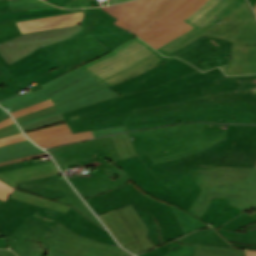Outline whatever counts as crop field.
<instances>
[{
    "instance_id": "35",
    "label": "crop field",
    "mask_w": 256,
    "mask_h": 256,
    "mask_svg": "<svg viewBox=\"0 0 256 256\" xmlns=\"http://www.w3.org/2000/svg\"><path fill=\"white\" fill-rule=\"evenodd\" d=\"M12 6V8H10ZM52 6L41 0H0V12Z\"/></svg>"
},
{
    "instance_id": "36",
    "label": "crop field",
    "mask_w": 256,
    "mask_h": 256,
    "mask_svg": "<svg viewBox=\"0 0 256 256\" xmlns=\"http://www.w3.org/2000/svg\"><path fill=\"white\" fill-rule=\"evenodd\" d=\"M194 256H244V251L197 244Z\"/></svg>"
},
{
    "instance_id": "43",
    "label": "crop field",
    "mask_w": 256,
    "mask_h": 256,
    "mask_svg": "<svg viewBox=\"0 0 256 256\" xmlns=\"http://www.w3.org/2000/svg\"><path fill=\"white\" fill-rule=\"evenodd\" d=\"M51 105H53V103L51 102L50 99H48V100H45L43 102L37 103L35 105H32V106L26 107L24 109L18 110L16 112L12 113V115L14 116V118H16V117L24 115L26 113L33 112V111H36V110H40V109L46 108V107L51 106Z\"/></svg>"
},
{
    "instance_id": "60",
    "label": "crop field",
    "mask_w": 256,
    "mask_h": 256,
    "mask_svg": "<svg viewBox=\"0 0 256 256\" xmlns=\"http://www.w3.org/2000/svg\"><path fill=\"white\" fill-rule=\"evenodd\" d=\"M6 77V75H4L1 71H0V79Z\"/></svg>"
},
{
    "instance_id": "9",
    "label": "crop field",
    "mask_w": 256,
    "mask_h": 256,
    "mask_svg": "<svg viewBox=\"0 0 256 256\" xmlns=\"http://www.w3.org/2000/svg\"><path fill=\"white\" fill-rule=\"evenodd\" d=\"M85 200L97 215L131 204L147 226V238L155 246L185 235L170 205L142 193L130 182Z\"/></svg>"
},
{
    "instance_id": "6",
    "label": "crop field",
    "mask_w": 256,
    "mask_h": 256,
    "mask_svg": "<svg viewBox=\"0 0 256 256\" xmlns=\"http://www.w3.org/2000/svg\"><path fill=\"white\" fill-rule=\"evenodd\" d=\"M62 169L95 165L98 169L70 177L83 198L98 195L132 179L113 161L121 159L111 136L47 149ZM65 150V151H63ZM100 157L102 159H100ZM117 174L112 180L109 176Z\"/></svg>"
},
{
    "instance_id": "47",
    "label": "crop field",
    "mask_w": 256,
    "mask_h": 256,
    "mask_svg": "<svg viewBox=\"0 0 256 256\" xmlns=\"http://www.w3.org/2000/svg\"><path fill=\"white\" fill-rule=\"evenodd\" d=\"M125 127L121 126V127H115V128H108V129H101V130H95L92 131L94 136H103V135H108V134H113V133H119V132H124Z\"/></svg>"
},
{
    "instance_id": "51",
    "label": "crop field",
    "mask_w": 256,
    "mask_h": 256,
    "mask_svg": "<svg viewBox=\"0 0 256 256\" xmlns=\"http://www.w3.org/2000/svg\"><path fill=\"white\" fill-rule=\"evenodd\" d=\"M42 155H46V153L39 154V155H34V156L26 157V158H21V159H17V160H12V161H8V162H4V163H0V165L19 162V161H24V160H28L30 158H35V157L42 156Z\"/></svg>"
},
{
    "instance_id": "17",
    "label": "crop field",
    "mask_w": 256,
    "mask_h": 256,
    "mask_svg": "<svg viewBox=\"0 0 256 256\" xmlns=\"http://www.w3.org/2000/svg\"><path fill=\"white\" fill-rule=\"evenodd\" d=\"M195 71H198L195 67L174 58L110 88L123 95L151 88Z\"/></svg>"
},
{
    "instance_id": "20",
    "label": "crop field",
    "mask_w": 256,
    "mask_h": 256,
    "mask_svg": "<svg viewBox=\"0 0 256 256\" xmlns=\"http://www.w3.org/2000/svg\"><path fill=\"white\" fill-rule=\"evenodd\" d=\"M84 10L85 18L80 25L111 51L135 36L114 25L113 23L117 19L100 8H86Z\"/></svg>"
},
{
    "instance_id": "61",
    "label": "crop field",
    "mask_w": 256,
    "mask_h": 256,
    "mask_svg": "<svg viewBox=\"0 0 256 256\" xmlns=\"http://www.w3.org/2000/svg\"><path fill=\"white\" fill-rule=\"evenodd\" d=\"M34 161V159H32ZM36 161L39 162L40 161V157L36 158Z\"/></svg>"
},
{
    "instance_id": "14",
    "label": "crop field",
    "mask_w": 256,
    "mask_h": 256,
    "mask_svg": "<svg viewBox=\"0 0 256 256\" xmlns=\"http://www.w3.org/2000/svg\"><path fill=\"white\" fill-rule=\"evenodd\" d=\"M45 48L67 72L110 52L84 28L76 35Z\"/></svg>"
},
{
    "instance_id": "65",
    "label": "crop field",
    "mask_w": 256,
    "mask_h": 256,
    "mask_svg": "<svg viewBox=\"0 0 256 256\" xmlns=\"http://www.w3.org/2000/svg\"><path fill=\"white\" fill-rule=\"evenodd\" d=\"M0 237H3V236L0 234Z\"/></svg>"
},
{
    "instance_id": "26",
    "label": "crop field",
    "mask_w": 256,
    "mask_h": 256,
    "mask_svg": "<svg viewBox=\"0 0 256 256\" xmlns=\"http://www.w3.org/2000/svg\"><path fill=\"white\" fill-rule=\"evenodd\" d=\"M58 173L59 171L57 167L55 166L53 161H50L34 166L0 173V179L16 187L17 185L14 182L42 178Z\"/></svg>"
},
{
    "instance_id": "52",
    "label": "crop field",
    "mask_w": 256,
    "mask_h": 256,
    "mask_svg": "<svg viewBox=\"0 0 256 256\" xmlns=\"http://www.w3.org/2000/svg\"><path fill=\"white\" fill-rule=\"evenodd\" d=\"M0 256H16V255L10 250H0Z\"/></svg>"
},
{
    "instance_id": "48",
    "label": "crop field",
    "mask_w": 256,
    "mask_h": 256,
    "mask_svg": "<svg viewBox=\"0 0 256 256\" xmlns=\"http://www.w3.org/2000/svg\"><path fill=\"white\" fill-rule=\"evenodd\" d=\"M16 133H20V130L15 125V123H13L11 125H8L0 129V138L8 135L16 134Z\"/></svg>"
},
{
    "instance_id": "28",
    "label": "crop field",
    "mask_w": 256,
    "mask_h": 256,
    "mask_svg": "<svg viewBox=\"0 0 256 256\" xmlns=\"http://www.w3.org/2000/svg\"><path fill=\"white\" fill-rule=\"evenodd\" d=\"M83 17V13H73L49 18L34 19L17 22L22 33L50 29L55 27L78 24Z\"/></svg>"
},
{
    "instance_id": "13",
    "label": "crop field",
    "mask_w": 256,
    "mask_h": 256,
    "mask_svg": "<svg viewBox=\"0 0 256 256\" xmlns=\"http://www.w3.org/2000/svg\"><path fill=\"white\" fill-rule=\"evenodd\" d=\"M0 70L16 85L20 84L22 87L34 81L41 85L66 73L44 47L10 65L0 55Z\"/></svg>"
},
{
    "instance_id": "63",
    "label": "crop field",
    "mask_w": 256,
    "mask_h": 256,
    "mask_svg": "<svg viewBox=\"0 0 256 256\" xmlns=\"http://www.w3.org/2000/svg\"><path fill=\"white\" fill-rule=\"evenodd\" d=\"M254 11H255V13H256V7H255Z\"/></svg>"
},
{
    "instance_id": "32",
    "label": "crop field",
    "mask_w": 256,
    "mask_h": 256,
    "mask_svg": "<svg viewBox=\"0 0 256 256\" xmlns=\"http://www.w3.org/2000/svg\"><path fill=\"white\" fill-rule=\"evenodd\" d=\"M184 242L189 243H199L205 245H212V246H221V247H229L233 248L230 244H228L223 238H221L214 229H203L191 233L187 236L180 238Z\"/></svg>"
},
{
    "instance_id": "15",
    "label": "crop field",
    "mask_w": 256,
    "mask_h": 256,
    "mask_svg": "<svg viewBox=\"0 0 256 256\" xmlns=\"http://www.w3.org/2000/svg\"><path fill=\"white\" fill-rule=\"evenodd\" d=\"M55 232L46 241L52 247L47 249V256H131L120 247L110 246L81 237L69 231L59 222L52 229Z\"/></svg>"
},
{
    "instance_id": "21",
    "label": "crop field",
    "mask_w": 256,
    "mask_h": 256,
    "mask_svg": "<svg viewBox=\"0 0 256 256\" xmlns=\"http://www.w3.org/2000/svg\"><path fill=\"white\" fill-rule=\"evenodd\" d=\"M41 206L8 197L0 205V233L8 240L30 218L53 228L57 221L34 215Z\"/></svg>"
},
{
    "instance_id": "30",
    "label": "crop field",
    "mask_w": 256,
    "mask_h": 256,
    "mask_svg": "<svg viewBox=\"0 0 256 256\" xmlns=\"http://www.w3.org/2000/svg\"><path fill=\"white\" fill-rule=\"evenodd\" d=\"M82 9H74V10H67L57 7H48V8H37V9H29L17 12H9V13H0V21L15 18L16 21L19 20H27V19H34V18H42L60 14H67L73 12H79Z\"/></svg>"
},
{
    "instance_id": "1",
    "label": "crop field",
    "mask_w": 256,
    "mask_h": 256,
    "mask_svg": "<svg viewBox=\"0 0 256 256\" xmlns=\"http://www.w3.org/2000/svg\"><path fill=\"white\" fill-rule=\"evenodd\" d=\"M256 87V74L228 77L219 69L195 72L151 89L63 113L72 133L125 125L134 110Z\"/></svg>"
},
{
    "instance_id": "38",
    "label": "crop field",
    "mask_w": 256,
    "mask_h": 256,
    "mask_svg": "<svg viewBox=\"0 0 256 256\" xmlns=\"http://www.w3.org/2000/svg\"><path fill=\"white\" fill-rule=\"evenodd\" d=\"M112 137L122 159L136 155L126 132Z\"/></svg>"
},
{
    "instance_id": "23",
    "label": "crop field",
    "mask_w": 256,
    "mask_h": 256,
    "mask_svg": "<svg viewBox=\"0 0 256 256\" xmlns=\"http://www.w3.org/2000/svg\"><path fill=\"white\" fill-rule=\"evenodd\" d=\"M36 215L57 220L68 229L84 237L118 246L106 230L94 224L73 207H71L66 214L42 207Z\"/></svg>"
},
{
    "instance_id": "4",
    "label": "crop field",
    "mask_w": 256,
    "mask_h": 256,
    "mask_svg": "<svg viewBox=\"0 0 256 256\" xmlns=\"http://www.w3.org/2000/svg\"><path fill=\"white\" fill-rule=\"evenodd\" d=\"M207 0H135L101 8L155 49L194 28L183 20Z\"/></svg>"
},
{
    "instance_id": "5",
    "label": "crop field",
    "mask_w": 256,
    "mask_h": 256,
    "mask_svg": "<svg viewBox=\"0 0 256 256\" xmlns=\"http://www.w3.org/2000/svg\"><path fill=\"white\" fill-rule=\"evenodd\" d=\"M221 141L176 162L154 164L146 153L139 157L168 188L196 165L255 167L256 126L227 125V140Z\"/></svg>"
},
{
    "instance_id": "11",
    "label": "crop field",
    "mask_w": 256,
    "mask_h": 256,
    "mask_svg": "<svg viewBox=\"0 0 256 256\" xmlns=\"http://www.w3.org/2000/svg\"><path fill=\"white\" fill-rule=\"evenodd\" d=\"M142 41L135 36L112 52L81 67L110 87L172 59L163 57Z\"/></svg>"
},
{
    "instance_id": "18",
    "label": "crop field",
    "mask_w": 256,
    "mask_h": 256,
    "mask_svg": "<svg viewBox=\"0 0 256 256\" xmlns=\"http://www.w3.org/2000/svg\"><path fill=\"white\" fill-rule=\"evenodd\" d=\"M83 27L80 25L62 28L52 29L48 31H41L30 34H23L17 38H14L6 43L0 44V54L8 61L12 63L30 53L38 47L52 44L58 40L67 38ZM12 42V45H9Z\"/></svg>"
},
{
    "instance_id": "39",
    "label": "crop field",
    "mask_w": 256,
    "mask_h": 256,
    "mask_svg": "<svg viewBox=\"0 0 256 256\" xmlns=\"http://www.w3.org/2000/svg\"><path fill=\"white\" fill-rule=\"evenodd\" d=\"M21 35L15 20L0 22V43Z\"/></svg>"
},
{
    "instance_id": "42",
    "label": "crop field",
    "mask_w": 256,
    "mask_h": 256,
    "mask_svg": "<svg viewBox=\"0 0 256 256\" xmlns=\"http://www.w3.org/2000/svg\"><path fill=\"white\" fill-rule=\"evenodd\" d=\"M181 245H183V244H181L179 242H176V241H172V242H170V243H168L166 245H163V246H161L159 248H156V249H153L151 251H148V252H146L144 254H140L138 256H155V255L156 256H166L165 253H167V252H169V251H171V250H173V249H175V248H177V247H179Z\"/></svg>"
},
{
    "instance_id": "62",
    "label": "crop field",
    "mask_w": 256,
    "mask_h": 256,
    "mask_svg": "<svg viewBox=\"0 0 256 256\" xmlns=\"http://www.w3.org/2000/svg\"><path fill=\"white\" fill-rule=\"evenodd\" d=\"M93 256H99V255H97V254H94Z\"/></svg>"
},
{
    "instance_id": "40",
    "label": "crop field",
    "mask_w": 256,
    "mask_h": 256,
    "mask_svg": "<svg viewBox=\"0 0 256 256\" xmlns=\"http://www.w3.org/2000/svg\"><path fill=\"white\" fill-rule=\"evenodd\" d=\"M26 138L24 137V135L22 133L20 134H16V135H12V136H8L5 138L0 139V145H4V144H8V143H13V142H17V141H21V140H25ZM14 191V188L6 185L5 183H3L2 181H0V199L4 200L12 194V192Z\"/></svg>"
},
{
    "instance_id": "56",
    "label": "crop field",
    "mask_w": 256,
    "mask_h": 256,
    "mask_svg": "<svg viewBox=\"0 0 256 256\" xmlns=\"http://www.w3.org/2000/svg\"><path fill=\"white\" fill-rule=\"evenodd\" d=\"M125 1H129V0H109L108 5L121 3V2H125Z\"/></svg>"
},
{
    "instance_id": "25",
    "label": "crop field",
    "mask_w": 256,
    "mask_h": 256,
    "mask_svg": "<svg viewBox=\"0 0 256 256\" xmlns=\"http://www.w3.org/2000/svg\"><path fill=\"white\" fill-rule=\"evenodd\" d=\"M133 207V206H132ZM131 205L117 209L118 213L127 222V226L133 232L139 242L133 243L132 245H126L127 249L137 254L141 251L151 249L155 247L147 238V228L138 217Z\"/></svg>"
},
{
    "instance_id": "46",
    "label": "crop field",
    "mask_w": 256,
    "mask_h": 256,
    "mask_svg": "<svg viewBox=\"0 0 256 256\" xmlns=\"http://www.w3.org/2000/svg\"><path fill=\"white\" fill-rule=\"evenodd\" d=\"M50 160H52V159H49V161ZM40 163H42V162H40ZM34 164H38V163H36V161L32 162V160L30 159V160L24 161V162L3 165V166H0V172L17 169V168H21V167H25V166H29V165H34Z\"/></svg>"
},
{
    "instance_id": "3",
    "label": "crop field",
    "mask_w": 256,
    "mask_h": 256,
    "mask_svg": "<svg viewBox=\"0 0 256 256\" xmlns=\"http://www.w3.org/2000/svg\"><path fill=\"white\" fill-rule=\"evenodd\" d=\"M191 121L256 124V88L137 110L125 127L129 131Z\"/></svg>"
},
{
    "instance_id": "37",
    "label": "crop field",
    "mask_w": 256,
    "mask_h": 256,
    "mask_svg": "<svg viewBox=\"0 0 256 256\" xmlns=\"http://www.w3.org/2000/svg\"><path fill=\"white\" fill-rule=\"evenodd\" d=\"M181 225L183 226V229L185 231V233H189L193 230H197V229H200V228H204V227H207V225L205 223H203L201 220L183 212V211H180L178 209H176L174 206H172Z\"/></svg>"
},
{
    "instance_id": "31",
    "label": "crop field",
    "mask_w": 256,
    "mask_h": 256,
    "mask_svg": "<svg viewBox=\"0 0 256 256\" xmlns=\"http://www.w3.org/2000/svg\"><path fill=\"white\" fill-rule=\"evenodd\" d=\"M30 141V140H29ZM28 140L1 146L0 162L26 157L34 154L43 153L38 147L34 146Z\"/></svg>"
},
{
    "instance_id": "53",
    "label": "crop field",
    "mask_w": 256,
    "mask_h": 256,
    "mask_svg": "<svg viewBox=\"0 0 256 256\" xmlns=\"http://www.w3.org/2000/svg\"><path fill=\"white\" fill-rule=\"evenodd\" d=\"M10 117L9 114L0 107V121Z\"/></svg>"
},
{
    "instance_id": "16",
    "label": "crop field",
    "mask_w": 256,
    "mask_h": 256,
    "mask_svg": "<svg viewBox=\"0 0 256 256\" xmlns=\"http://www.w3.org/2000/svg\"><path fill=\"white\" fill-rule=\"evenodd\" d=\"M243 1L244 0H208L202 7L184 20L194 26V29L156 50L166 55L189 43L208 31Z\"/></svg>"
},
{
    "instance_id": "2",
    "label": "crop field",
    "mask_w": 256,
    "mask_h": 256,
    "mask_svg": "<svg viewBox=\"0 0 256 256\" xmlns=\"http://www.w3.org/2000/svg\"><path fill=\"white\" fill-rule=\"evenodd\" d=\"M166 56L204 71L219 66L227 75L256 73V18L245 0L220 24Z\"/></svg>"
},
{
    "instance_id": "44",
    "label": "crop field",
    "mask_w": 256,
    "mask_h": 256,
    "mask_svg": "<svg viewBox=\"0 0 256 256\" xmlns=\"http://www.w3.org/2000/svg\"><path fill=\"white\" fill-rule=\"evenodd\" d=\"M176 241H179V240H176ZM183 244H185L184 246L176 249V250H173L169 253H167L169 256H193V252H194V249H195V245L196 244H189V243H184L182 241H179Z\"/></svg>"
},
{
    "instance_id": "50",
    "label": "crop field",
    "mask_w": 256,
    "mask_h": 256,
    "mask_svg": "<svg viewBox=\"0 0 256 256\" xmlns=\"http://www.w3.org/2000/svg\"><path fill=\"white\" fill-rule=\"evenodd\" d=\"M12 85H14V83L8 77L0 80V90L5 89Z\"/></svg>"
},
{
    "instance_id": "55",
    "label": "crop field",
    "mask_w": 256,
    "mask_h": 256,
    "mask_svg": "<svg viewBox=\"0 0 256 256\" xmlns=\"http://www.w3.org/2000/svg\"><path fill=\"white\" fill-rule=\"evenodd\" d=\"M13 123V120L11 119V117L3 122L0 123V128L3 127V126H6L8 124H11Z\"/></svg>"
},
{
    "instance_id": "24",
    "label": "crop field",
    "mask_w": 256,
    "mask_h": 256,
    "mask_svg": "<svg viewBox=\"0 0 256 256\" xmlns=\"http://www.w3.org/2000/svg\"><path fill=\"white\" fill-rule=\"evenodd\" d=\"M42 148L94 137L91 131L72 134L67 123L52 128L27 133Z\"/></svg>"
},
{
    "instance_id": "64",
    "label": "crop field",
    "mask_w": 256,
    "mask_h": 256,
    "mask_svg": "<svg viewBox=\"0 0 256 256\" xmlns=\"http://www.w3.org/2000/svg\"><path fill=\"white\" fill-rule=\"evenodd\" d=\"M3 203V201L0 200V204Z\"/></svg>"
},
{
    "instance_id": "34",
    "label": "crop field",
    "mask_w": 256,
    "mask_h": 256,
    "mask_svg": "<svg viewBox=\"0 0 256 256\" xmlns=\"http://www.w3.org/2000/svg\"><path fill=\"white\" fill-rule=\"evenodd\" d=\"M229 242L240 243L246 245H256V224L248 226L246 233L232 232L223 229H216Z\"/></svg>"
},
{
    "instance_id": "8",
    "label": "crop field",
    "mask_w": 256,
    "mask_h": 256,
    "mask_svg": "<svg viewBox=\"0 0 256 256\" xmlns=\"http://www.w3.org/2000/svg\"><path fill=\"white\" fill-rule=\"evenodd\" d=\"M41 86L43 88L35 92L3 100L0 105L12 113L50 98L59 109L57 112L20 123L22 126L93 102L119 96L80 67Z\"/></svg>"
},
{
    "instance_id": "59",
    "label": "crop field",
    "mask_w": 256,
    "mask_h": 256,
    "mask_svg": "<svg viewBox=\"0 0 256 256\" xmlns=\"http://www.w3.org/2000/svg\"><path fill=\"white\" fill-rule=\"evenodd\" d=\"M250 3H251V5H252V7H253V9H254V6H255V3H256V0H248Z\"/></svg>"
},
{
    "instance_id": "10",
    "label": "crop field",
    "mask_w": 256,
    "mask_h": 256,
    "mask_svg": "<svg viewBox=\"0 0 256 256\" xmlns=\"http://www.w3.org/2000/svg\"><path fill=\"white\" fill-rule=\"evenodd\" d=\"M186 176L203 189L188 210L198 217L211 197L231 198L229 203L243 210L256 206V169L196 166Z\"/></svg>"
},
{
    "instance_id": "57",
    "label": "crop field",
    "mask_w": 256,
    "mask_h": 256,
    "mask_svg": "<svg viewBox=\"0 0 256 256\" xmlns=\"http://www.w3.org/2000/svg\"><path fill=\"white\" fill-rule=\"evenodd\" d=\"M233 245L238 246V247H242V248L256 249V246H245V245H239V244H233Z\"/></svg>"
},
{
    "instance_id": "45",
    "label": "crop field",
    "mask_w": 256,
    "mask_h": 256,
    "mask_svg": "<svg viewBox=\"0 0 256 256\" xmlns=\"http://www.w3.org/2000/svg\"><path fill=\"white\" fill-rule=\"evenodd\" d=\"M54 111H57V108L55 105L48 107L46 109L40 110V111L33 112L32 114L29 113L27 115L16 118V121H17V123L27 121V120H30V119L54 112Z\"/></svg>"
},
{
    "instance_id": "29",
    "label": "crop field",
    "mask_w": 256,
    "mask_h": 256,
    "mask_svg": "<svg viewBox=\"0 0 256 256\" xmlns=\"http://www.w3.org/2000/svg\"><path fill=\"white\" fill-rule=\"evenodd\" d=\"M99 217L103 220L122 246L137 242V239L131 233L116 210L99 215Z\"/></svg>"
},
{
    "instance_id": "19",
    "label": "crop field",
    "mask_w": 256,
    "mask_h": 256,
    "mask_svg": "<svg viewBox=\"0 0 256 256\" xmlns=\"http://www.w3.org/2000/svg\"><path fill=\"white\" fill-rule=\"evenodd\" d=\"M16 184L19 186L17 188L58 200L66 204H71L102 226L99 220L79 198L61 174L42 179L18 182Z\"/></svg>"
},
{
    "instance_id": "49",
    "label": "crop field",
    "mask_w": 256,
    "mask_h": 256,
    "mask_svg": "<svg viewBox=\"0 0 256 256\" xmlns=\"http://www.w3.org/2000/svg\"><path fill=\"white\" fill-rule=\"evenodd\" d=\"M90 7V0H74L64 6V8Z\"/></svg>"
},
{
    "instance_id": "54",
    "label": "crop field",
    "mask_w": 256,
    "mask_h": 256,
    "mask_svg": "<svg viewBox=\"0 0 256 256\" xmlns=\"http://www.w3.org/2000/svg\"><path fill=\"white\" fill-rule=\"evenodd\" d=\"M0 248H8V244L5 238H0Z\"/></svg>"
},
{
    "instance_id": "33",
    "label": "crop field",
    "mask_w": 256,
    "mask_h": 256,
    "mask_svg": "<svg viewBox=\"0 0 256 256\" xmlns=\"http://www.w3.org/2000/svg\"><path fill=\"white\" fill-rule=\"evenodd\" d=\"M10 197H14L20 200H24L27 202H31L37 205H41L47 208H51L57 211H61L66 213L68 211V209L70 208V206L65 205L63 203L57 202V201H53L50 199H46V198H42V197H38L35 195H32L30 193H25L22 192L20 190L15 189V191L13 192V194Z\"/></svg>"
},
{
    "instance_id": "66",
    "label": "crop field",
    "mask_w": 256,
    "mask_h": 256,
    "mask_svg": "<svg viewBox=\"0 0 256 256\" xmlns=\"http://www.w3.org/2000/svg\"><path fill=\"white\" fill-rule=\"evenodd\" d=\"M256 168V167H255Z\"/></svg>"
},
{
    "instance_id": "12",
    "label": "crop field",
    "mask_w": 256,
    "mask_h": 256,
    "mask_svg": "<svg viewBox=\"0 0 256 256\" xmlns=\"http://www.w3.org/2000/svg\"><path fill=\"white\" fill-rule=\"evenodd\" d=\"M116 163L147 193L188 210L202 190L187 177L181 178L169 189L151 172L138 156ZM170 203V204H171Z\"/></svg>"
},
{
    "instance_id": "7",
    "label": "crop field",
    "mask_w": 256,
    "mask_h": 256,
    "mask_svg": "<svg viewBox=\"0 0 256 256\" xmlns=\"http://www.w3.org/2000/svg\"><path fill=\"white\" fill-rule=\"evenodd\" d=\"M127 133L135 139L130 138L136 154L146 152L157 163L190 155L226 139V125L186 123Z\"/></svg>"
},
{
    "instance_id": "27",
    "label": "crop field",
    "mask_w": 256,
    "mask_h": 256,
    "mask_svg": "<svg viewBox=\"0 0 256 256\" xmlns=\"http://www.w3.org/2000/svg\"><path fill=\"white\" fill-rule=\"evenodd\" d=\"M229 200L212 198L208 209L200 216V219L207 223L210 222L213 227H217L236 217L243 210L228 204Z\"/></svg>"
},
{
    "instance_id": "22",
    "label": "crop field",
    "mask_w": 256,
    "mask_h": 256,
    "mask_svg": "<svg viewBox=\"0 0 256 256\" xmlns=\"http://www.w3.org/2000/svg\"><path fill=\"white\" fill-rule=\"evenodd\" d=\"M54 231L33 220H29L11 236L10 245L19 256H46L51 247L45 241Z\"/></svg>"
},
{
    "instance_id": "58",
    "label": "crop field",
    "mask_w": 256,
    "mask_h": 256,
    "mask_svg": "<svg viewBox=\"0 0 256 256\" xmlns=\"http://www.w3.org/2000/svg\"><path fill=\"white\" fill-rule=\"evenodd\" d=\"M246 256H256V251H254V250H247Z\"/></svg>"
},
{
    "instance_id": "41",
    "label": "crop field",
    "mask_w": 256,
    "mask_h": 256,
    "mask_svg": "<svg viewBox=\"0 0 256 256\" xmlns=\"http://www.w3.org/2000/svg\"><path fill=\"white\" fill-rule=\"evenodd\" d=\"M254 209L256 210V207ZM253 221H256V212L251 215L243 213L220 228L235 231Z\"/></svg>"
}]
</instances>
